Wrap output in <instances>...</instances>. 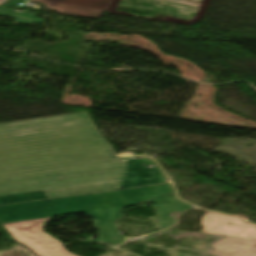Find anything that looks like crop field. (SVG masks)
<instances>
[{"instance_id": "8a807250", "label": "crop field", "mask_w": 256, "mask_h": 256, "mask_svg": "<svg viewBox=\"0 0 256 256\" xmlns=\"http://www.w3.org/2000/svg\"><path fill=\"white\" fill-rule=\"evenodd\" d=\"M148 158L114 155L87 112L0 123V195L49 198L167 183Z\"/></svg>"}, {"instance_id": "ac0d7876", "label": "crop field", "mask_w": 256, "mask_h": 256, "mask_svg": "<svg viewBox=\"0 0 256 256\" xmlns=\"http://www.w3.org/2000/svg\"><path fill=\"white\" fill-rule=\"evenodd\" d=\"M126 206L119 191L54 198L46 201L0 206V224L36 220L84 212L94 218V227L105 243H120L114 221Z\"/></svg>"}, {"instance_id": "34b2d1b8", "label": "crop field", "mask_w": 256, "mask_h": 256, "mask_svg": "<svg viewBox=\"0 0 256 256\" xmlns=\"http://www.w3.org/2000/svg\"><path fill=\"white\" fill-rule=\"evenodd\" d=\"M203 233L228 236L213 244L215 256H256V226L240 218L207 211L201 219Z\"/></svg>"}, {"instance_id": "412701ff", "label": "crop field", "mask_w": 256, "mask_h": 256, "mask_svg": "<svg viewBox=\"0 0 256 256\" xmlns=\"http://www.w3.org/2000/svg\"><path fill=\"white\" fill-rule=\"evenodd\" d=\"M119 191L127 206L146 200L155 203L158 213L159 230L169 227L171 224L175 223V220L169 216L171 211L182 212L193 208L175 199L172 195V188L169 184L123 189Z\"/></svg>"}, {"instance_id": "f4fd0767", "label": "crop field", "mask_w": 256, "mask_h": 256, "mask_svg": "<svg viewBox=\"0 0 256 256\" xmlns=\"http://www.w3.org/2000/svg\"><path fill=\"white\" fill-rule=\"evenodd\" d=\"M50 219L5 224L3 227L12 239L27 246L37 256H76L59 241L43 232V224Z\"/></svg>"}, {"instance_id": "dd49c442", "label": "crop field", "mask_w": 256, "mask_h": 256, "mask_svg": "<svg viewBox=\"0 0 256 256\" xmlns=\"http://www.w3.org/2000/svg\"><path fill=\"white\" fill-rule=\"evenodd\" d=\"M49 10L87 18H99L112 0H32Z\"/></svg>"}, {"instance_id": "e52e79f7", "label": "crop field", "mask_w": 256, "mask_h": 256, "mask_svg": "<svg viewBox=\"0 0 256 256\" xmlns=\"http://www.w3.org/2000/svg\"><path fill=\"white\" fill-rule=\"evenodd\" d=\"M18 1H24V0H13L8 4H5L0 7V15L5 14L8 16H11L15 19V22L17 23H23V24H31V23H42L43 19L34 17V14L28 11H11L9 9H6L9 6L15 7Z\"/></svg>"}, {"instance_id": "d8731c3e", "label": "crop field", "mask_w": 256, "mask_h": 256, "mask_svg": "<svg viewBox=\"0 0 256 256\" xmlns=\"http://www.w3.org/2000/svg\"><path fill=\"white\" fill-rule=\"evenodd\" d=\"M46 198H48V196L46 195L45 191L0 196V205Z\"/></svg>"}, {"instance_id": "5a996713", "label": "crop field", "mask_w": 256, "mask_h": 256, "mask_svg": "<svg viewBox=\"0 0 256 256\" xmlns=\"http://www.w3.org/2000/svg\"><path fill=\"white\" fill-rule=\"evenodd\" d=\"M0 256H34L28 249L19 244L14 245L9 250H0Z\"/></svg>"}, {"instance_id": "3316defc", "label": "crop field", "mask_w": 256, "mask_h": 256, "mask_svg": "<svg viewBox=\"0 0 256 256\" xmlns=\"http://www.w3.org/2000/svg\"><path fill=\"white\" fill-rule=\"evenodd\" d=\"M4 1H6V0H0V3L4 2Z\"/></svg>"}, {"instance_id": "28ad6ade", "label": "crop field", "mask_w": 256, "mask_h": 256, "mask_svg": "<svg viewBox=\"0 0 256 256\" xmlns=\"http://www.w3.org/2000/svg\"><path fill=\"white\" fill-rule=\"evenodd\" d=\"M179 256H187V255L180 254Z\"/></svg>"}]
</instances>
